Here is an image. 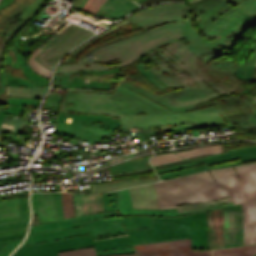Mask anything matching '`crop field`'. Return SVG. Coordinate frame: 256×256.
I'll return each instance as SVG.
<instances>
[{"mask_svg": "<svg viewBox=\"0 0 256 256\" xmlns=\"http://www.w3.org/2000/svg\"><path fill=\"white\" fill-rule=\"evenodd\" d=\"M2 142H4V138H3V136L0 133V143H2Z\"/></svg>", "mask_w": 256, "mask_h": 256, "instance_id": "66", "label": "crop field"}, {"mask_svg": "<svg viewBox=\"0 0 256 256\" xmlns=\"http://www.w3.org/2000/svg\"><path fill=\"white\" fill-rule=\"evenodd\" d=\"M256 256V255H255Z\"/></svg>", "mask_w": 256, "mask_h": 256, "instance_id": "69", "label": "crop field"}, {"mask_svg": "<svg viewBox=\"0 0 256 256\" xmlns=\"http://www.w3.org/2000/svg\"><path fill=\"white\" fill-rule=\"evenodd\" d=\"M14 0H2L0 2V11L10 6Z\"/></svg>", "mask_w": 256, "mask_h": 256, "instance_id": "57", "label": "crop field"}, {"mask_svg": "<svg viewBox=\"0 0 256 256\" xmlns=\"http://www.w3.org/2000/svg\"><path fill=\"white\" fill-rule=\"evenodd\" d=\"M137 3L141 2V1H144V0H135Z\"/></svg>", "mask_w": 256, "mask_h": 256, "instance_id": "67", "label": "crop field"}, {"mask_svg": "<svg viewBox=\"0 0 256 256\" xmlns=\"http://www.w3.org/2000/svg\"><path fill=\"white\" fill-rule=\"evenodd\" d=\"M65 219L75 216L72 193H62Z\"/></svg>", "mask_w": 256, "mask_h": 256, "instance_id": "38", "label": "crop field"}, {"mask_svg": "<svg viewBox=\"0 0 256 256\" xmlns=\"http://www.w3.org/2000/svg\"><path fill=\"white\" fill-rule=\"evenodd\" d=\"M56 133L96 143L111 131L87 128L58 122Z\"/></svg>", "mask_w": 256, "mask_h": 256, "instance_id": "16", "label": "crop field"}, {"mask_svg": "<svg viewBox=\"0 0 256 256\" xmlns=\"http://www.w3.org/2000/svg\"><path fill=\"white\" fill-rule=\"evenodd\" d=\"M185 26H180L187 47L198 57L208 63L229 52L218 46L233 49L240 35L256 23V0H198L190 3L194 20L204 38L194 27L185 4Z\"/></svg>", "mask_w": 256, "mask_h": 256, "instance_id": "4", "label": "crop field"}, {"mask_svg": "<svg viewBox=\"0 0 256 256\" xmlns=\"http://www.w3.org/2000/svg\"><path fill=\"white\" fill-rule=\"evenodd\" d=\"M104 2L105 0H95V2L90 6V8L87 11L96 14V12L99 10V8L102 6Z\"/></svg>", "mask_w": 256, "mask_h": 256, "instance_id": "53", "label": "crop field"}, {"mask_svg": "<svg viewBox=\"0 0 256 256\" xmlns=\"http://www.w3.org/2000/svg\"><path fill=\"white\" fill-rule=\"evenodd\" d=\"M232 200L230 197L221 199V200H216V201H211L207 203H197V204H189V205H181V206H176L178 213L180 212H185V211H190V210H195V209H200V208H205V207H211L215 205H221V204H227L231 203Z\"/></svg>", "mask_w": 256, "mask_h": 256, "instance_id": "33", "label": "crop field"}, {"mask_svg": "<svg viewBox=\"0 0 256 256\" xmlns=\"http://www.w3.org/2000/svg\"><path fill=\"white\" fill-rule=\"evenodd\" d=\"M188 162H193V161L184 160V161L172 162V163H167V164L155 165L153 167H154V169H161V168L184 164V163H188Z\"/></svg>", "mask_w": 256, "mask_h": 256, "instance_id": "54", "label": "crop field"}, {"mask_svg": "<svg viewBox=\"0 0 256 256\" xmlns=\"http://www.w3.org/2000/svg\"><path fill=\"white\" fill-rule=\"evenodd\" d=\"M22 240L23 238L0 242V245L9 244L8 246L0 250V256H9L10 253L22 242Z\"/></svg>", "mask_w": 256, "mask_h": 256, "instance_id": "44", "label": "crop field"}, {"mask_svg": "<svg viewBox=\"0 0 256 256\" xmlns=\"http://www.w3.org/2000/svg\"><path fill=\"white\" fill-rule=\"evenodd\" d=\"M6 85L9 86H24V87H36L32 82H30L26 78H21L12 73H5L1 76V87H0V94H3Z\"/></svg>", "mask_w": 256, "mask_h": 256, "instance_id": "27", "label": "crop field"}, {"mask_svg": "<svg viewBox=\"0 0 256 256\" xmlns=\"http://www.w3.org/2000/svg\"><path fill=\"white\" fill-rule=\"evenodd\" d=\"M192 249H208L206 212L193 215Z\"/></svg>", "mask_w": 256, "mask_h": 256, "instance_id": "21", "label": "crop field"}, {"mask_svg": "<svg viewBox=\"0 0 256 256\" xmlns=\"http://www.w3.org/2000/svg\"><path fill=\"white\" fill-rule=\"evenodd\" d=\"M76 92H98V93H114L115 91H101V90H69Z\"/></svg>", "mask_w": 256, "mask_h": 256, "instance_id": "59", "label": "crop field"}, {"mask_svg": "<svg viewBox=\"0 0 256 256\" xmlns=\"http://www.w3.org/2000/svg\"><path fill=\"white\" fill-rule=\"evenodd\" d=\"M0 200H2V198H0ZM20 209H21V213H22V218H16V219H10V220H2V221H0V225L29 221V218H26L25 214H24L22 199L20 200Z\"/></svg>", "mask_w": 256, "mask_h": 256, "instance_id": "49", "label": "crop field"}, {"mask_svg": "<svg viewBox=\"0 0 256 256\" xmlns=\"http://www.w3.org/2000/svg\"><path fill=\"white\" fill-rule=\"evenodd\" d=\"M25 234L22 235H15V236H8V237H0V241L2 240H9V239H16V238H22ZM6 245L0 246V249L3 248Z\"/></svg>", "mask_w": 256, "mask_h": 256, "instance_id": "58", "label": "crop field"}, {"mask_svg": "<svg viewBox=\"0 0 256 256\" xmlns=\"http://www.w3.org/2000/svg\"><path fill=\"white\" fill-rule=\"evenodd\" d=\"M118 196V206H119V213L121 217L126 216H136V215H152V216H164V217H177L183 215L194 214L200 211H208L210 209L227 207L234 205L233 203L221 206H215L211 208H205L185 213L177 214L176 209H168V210H141V209H133L129 190H122L117 192Z\"/></svg>", "mask_w": 256, "mask_h": 256, "instance_id": "9", "label": "crop field"}, {"mask_svg": "<svg viewBox=\"0 0 256 256\" xmlns=\"http://www.w3.org/2000/svg\"><path fill=\"white\" fill-rule=\"evenodd\" d=\"M209 248L224 246V208L207 212Z\"/></svg>", "mask_w": 256, "mask_h": 256, "instance_id": "14", "label": "crop field"}, {"mask_svg": "<svg viewBox=\"0 0 256 256\" xmlns=\"http://www.w3.org/2000/svg\"><path fill=\"white\" fill-rule=\"evenodd\" d=\"M84 224H82V225H77V226H72V227H79V226H83ZM67 228H70V227H67ZM62 229H64V228H62ZM56 230H59V229H56ZM48 231H53V230H48ZM42 232H47V231H40V232H32V233H29L28 235H30V234H36V233H42Z\"/></svg>", "mask_w": 256, "mask_h": 256, "instance_id": "61", "label": "crop field"}, {"mask_svg": "<svg viewBox=\"0 0 256 256\" xmlns=\"http://www.w3.org/2000/svg\"><path fill=\"white\" fill-rule=\"evenodd\" d=\"M167 1H185V0H146L144 2L139 3L142 6H146L148 4H154V3H161V2H167Z\"/></svg>", "mask_w": 256, "mask_h": 256, "instance_id": "55", "label": "crop field"}, {"mask_svg": "<svg viewBox=\"0 0 256 256\" xmlns=\"http://www.w3.org/2000/svg\"><path fill=\"white\" fill-rule=\"evenodd\" d=\"M76 216L104 212L102 194H74Z\"/></svg>", "mask_w": 256, "mask_h": 256, "instance_id": "17", "label": "crop field"}, {"mask_svg": "<svg viewBox=\"0 0 256 256\" xmlns=\"http://www.w3.org/2000/svg\"><path fill=\"white\" fill-rule=\"evenodd\" d=\"M243 245L241 205L225 208V246Z\"/></svg>", "mask_w": 256, "mask_h": 256, "instance_id": "11", "label": "crop field"}, {"mask_svg": "<svg viewBox=\"0 0 256 256\" xmlns=\"http://www.w3.org/2000/svg\"><path fill=\"white\" fill-rule=\"evenodd\" d=\"M114 115H94V114H62L58 121L66 122L67 118H73L72 124L115 131L120 128V119H112Z\"/></svg>", "mask_w": 256, "mask_h": 256, "instance_id": "12", "label": "crop field"}, {"mask_svg": "<svg viewBox=\"0 0 256 256\" xmlns=\"http://www.w3.org/2000/svg\"><path fill=\"white\" fill-rule=\"evenodd\" d=\"M53 198H54L55 206L58 212L59 220L64 219L61 193H54Z\"/></svg>", "mask_w": 256, "mask_h": 256, "instance_id": "48", "label": "crop field"}, {"mask_svg": "<svg viewBox=\"0 0 256 256\" xmlns=\"http://www.w3.org/2000/svg\"><path fill=\"white\" fill-rule=\"evenodd\" d=\"M43 0H36L34 3L29 5L23 13L20 15V18H27L28 15L42 2Z\"/></svg>", "mask_w": 256, "mask_h": 256, "instance_id": "52", "label": "crop field"}, {"mask_svg": "<svg viewBox=\"0 0 256 256\" xmlns=\"http://www.w3.org/2000/svg\"><path fill=\"white\" fill-rule=\"evenodd\" d=\"M28 223L29 222L19 223V224H12V225H3V226H0V229H9V228H14V227L27 226Z\"/></svg>", "mask_w": 256, "mask_h": 256, "instance_id": "56", "label": "crop field"}, {"mask_svg": "<svg viewBox=\"0 0 256 256\" xmlns=\"http://www.w3.org/2000/svg\"><path fill=\"white\" fill-rule=\"evenodd\" d=\"M236 64L239 66L236 71L237 77L251 81L256 69V36L247 44Z\"/></svg>", "mask_w": 256, "mask_h": 256, "instance_id": "18", "label": "crop field"}, {"mask_svg": "<svg viewBox=\"0 0 256 256\" xmlns=\"http://www.w3.org/2000/svg\"><path fill=\"white\" fill-rule=\"evenodd\" d=\"M26 229L27 227H20V228L9 229V230H0V236L26 233Z\"/></svg>", "mask_w": 256, "mask_h": 256, "instance_id": "51", "label": "crop field"}, {"mask_svg": "<svg viewBox=\"0 0 256 256\" xmlns=\"http://www.w3.org/2000/svg\"><path fill=\"white\" fill-rule=\"evenodd\" d=\"M135 253L133 247L97 252V256Z\"/></svg>", "mask_w": 256, "mask_h": 256, "instance_id": "46", "label": "crop field"}, {"mask_svg": "<svg viewBox=\"0 0 256 256\" xmlns=\"http://www.w3.org/2000/svg\"><path fill=\"white\" fill-rule=\"evenodd\" d=\"M139 256H212L210 250H191V240L160 242L135 246Z\"/></svg>", "mask_w": 256, "mask_h": 256, "instance_id": "8", "label": "crop field"}, {"mask_svg": "<svg viewBox=\"0 0 256 256\" xmlns=\"http://www.w3.org/2000/svg\"><path fill=\"white\" fill-rule=\"evenodd\" d=\"M160 209L231 196L243 207L244 245L256 244V164L229 167L154 184Z\"/></svg>", "mask_w": 256, "mask_h": 256, "instance_id": "3", "label": "crop field"}, {"mask_svg": "<svg viewBox=\"0 0 256 256\" xmlns=\"http://www.w3.org/2000/svg\"><path fill=\"white\" fill-rule=\"evenodd\" d=\"M43 51V49L41 48H36L35 51L33 52L30 60H29V65H31V68L36 71L38 74L42 75V76H45L47 78L50 79L51 77V73L52 71H50L49 69H47L44 65H42L41 63H39L37 61V56L38 54Z\"/></svg>", "mask_w": 256, "mask_h": 256, "instance_id": "34", "label": "crop field"}, {"mask_svg": "<svg viewBox=\"0 0 256 256\" xmlns=\"http://www.w3.org/2000/svg\"><path fill=\"white\" fill-rule=\"evenodd\" d=\"M206 157H207V159L201 160L199 162H203V163H206L207 165H211V164L220 163V162L233 160V159H237V158H240V160H241V162H238V163H232V164H227V165H222V166L211 167L209 169L237 165V164H241L242 162L256 160V146L240 148V149H235V150H229L227 153L217 154V155H208Z\"/></svg>", "mask_w": 256, "mask_h": 256, "instance_id": "15", "label": "crop field"}, {"mask_svg": "<svg viewBox=\"0 0 256 256\" xmlns=\"http://www.w3.org/2000/svg\"><path fill=\"white\" fill-rule=\"evenodd\" d=\"M66 91L52 88L42 109L60 107L59 112L62 113L115 114L121 118V128L166 125L194 120L198 125L161 131L222 124H228L230 128H234V125L218 104L187 113L167 114L119 88L115 90L114 94Z\"/></svg>", "mask_w": 256, "mask_h": 256, "instance_id": "2", "label": "crop field"}, {"mask_svg": "<svg viewBox=\"0 0 256 256\" xmlns=\"http://www.w3.org/2000/svg\"><path fill=\"white\" fill-rule=\"evenodd\" d=\"M130 22L126 21L125 19L120 21L119 23L115 24L114 26H112L111 28H109L108 30H106L105 32H103L102 34L96 36L95 38L89 40L88 42L82 44L81 46H79L77 49H75L73 52H71L61 63H65V62H69L71 60V58L77 54L79 51H81L84 47H86L88 44H90L91 42H93L94 40H96L97 38L115 30L118 29L126 24H128Z\"/></svg>", "mask_w": 256, "mask_h": 256, "instance_id": "35", "label": "crop field"}, {"mask_svg": "<svg viewBox=\"0 0 256 256\" xmlns=\"http://www.w3.org/2000/svg\"><path fill=\"white\" fill-rule=\"evenodd\" d=\"M205 169H207V168L205 165H203L200 167H195V168L180 170V171H176V172L161 174L159 176H160L161 180H163V179H167V178H171V177H175V176H181V175H185V174H189V173H193V172H197V171H201V170H205Z\"/></svg>", "mask_w": 256, "mask_h": 256, "instance_id": "42", "label": "crop field"}, {"mask_svg": "<svg viewBox=\"0 0 256 256\" xmlns=\"http://www.w3.org/2000/svg\"><path fill=\"white\" fill-rule=\"evenodd\" d=\"M126 19L148 32L105 47L99 46L89 53L98 57L94 61L59 65L53 86L67 88L71 75L78 73V70L101 71L122 67L148 54L158 64L151 71L179 91L157 96L128 79H124L119 88L167 113L187 112L219 103L232 123L241 125V130L256 127V115L245 103L243 96L222 98L198 106L222 93L234 92L241 83L233 77L237 69L235 60H213L207 65L178 41L184 38L178 26L184 25L185 19L181 4L149 7Z\"/></svg>", "mask_w": 256, "mask_h": 256, "instance_id": "1", "label": "crop field"}, {"mask_svg": "<svg viewBox=\"0 0 256 256\" xmlns=\"http://www.w3.org/2000/svg\"><path fill=\"white\" fill-rule=\"evenodd\" d=\"M48 86L42 88L7 87V96L43 99Z\"/></svg>", "mask_w": 256, "mask_h": 256, "instance_id": "25", "label": "crop field"}, {"mask_svg": "<svg viewBox=\"0 0 256 256\" xmlns=\"http://www.w3.org/2000/svg\"><path fill=\"white\" fill-rule=\"evenodd\" d=\"M129 190L134 208L159 209L157 195L153 184L131 188Z\"/></svg>", "mask_w": 256, "mask_h": 256, "instance_id": "19", "label": "crop field"}, {"mask_svg": "<svg viewBox=\"0 0 256 256\" xmlns=\"http://www.w3.org/2000/svg\"><path fill=\"white\" fill-rule=\"evenodd\" d=\"M95 246L96 251L131 246L125 232L97 236L90 235L20 247L13 256H58L57 252Z\"/></svg>", "mask_w": 256, "mask_h": 256, "instance_id": "5", "label": "crop field"}, {"mask_svg": "<svg viewBox=\"0 0 256 256\" xmlns=\"http://www.w3.org/2000/svg\"><path fill=\"white\" fill-rule=\"evenodd\" d=\"M254 254H256V245L214 250V256H253Z\"/></svg>", "mask_w": 256, "mask_h": 256, "instance_id": "29", "label": "crop field"}, {"mask_svg": "<svg viewBox=\"0 0 256 256\" xmlns=\"http://www.w3.org/2000/svg\"><path fill=\"white\" fill-rule=\"evenodd\" d=\"M191 224L192 215L177 218L154 217V228L130 230L126 234L132 245L191 239Z\"/></svg>", "mask_w": 256, "mask_h": 256, "instance_id": "6", "label": "crop field"}, {"mask_svg": "<svg viewBox=\"0 0 256 256\" xmlns=\"http://www.w3.org/2000/svg\"><path fill=\"white\" fill-rule=\"evenodd\" d=\"M94 35L93 32L87 29L73 25L49 44L47 48L39 54L37 59L47 68L53 70L56 63L66 53Z\"/></svg>", "mask_w": 256, "mask_h": 256, "instance_id": "7", "label": "crop field"}, {"mask_svg": "<svg viewBox=\"0 0 256 256\" xmlns=\"http://www.w3.org/2000/svg\"><path fill=\"white\" fill-rule=\"evenodd\" d=\"M105 211H116L117 206V196L116 192H110L103 194Z\"/></svg>", "mask_w": 256, "mask_h": 256, "instance_id": "40", "label": "crop field"}, {"mask_svg": "<svg viewBox=\"0 0 256 256\" xmlns=\"http://www.w3.org/2000/svg\"><path fill=\"white\" fill-rule=\"evenodd\" d=\"M5 123L8 124H14L15 128L14 129H7V128H1L0 132H6V133H13L19 135L20 129L24 127L28 122H35V121H28V120H22V119H10L6 118Z\"/></svg>", "mask_w": 256, "mask_h": 256, "instance_id": "39", "label": "crop field"}, {"mask_svg": "<svg viewBox=\"0 0 256 256\" xmlns=\"http://www.w3.org/2000/svg\"><path fill=\"white\" fill-rule=\"evenodd\" d=\"M139 8L141 7L130 0H106L97 15L119 19Z\"/></svg>", "mask_w": 256, "mask_h": 256, "instance_id": "20", "label": "crop field"}, {"mask_svg": "<svg viewBox=\"0 0 256 256\" xmlns=\"http://www.w3.org/2000/svg\"><path fill=\"white\" fill-rule=\"evenodd\" d=\"M12 51L16 56L15 63L12 65V55H8L6 64L13 68L20 69L27 62L23 59V57L14 48H12ZM19 65H21V67H19Z\"/></svg>", "mask_w": 256, "mask_h": 256, "instance_id": "45", "label": "crop field"}, {"mask_svg": "<svg viewBox=\"0 0 256 256\" xmlns=\"http://www.w3.org/2000/svg\"><path fill=\"white\" fill-rule=\"evenodd\" d=\"M20 75L28 78L30 81H32L37 87H41L44 85L49 84V79H46L37 73H34V71L30 68L28 63L22 67L21 71L19 72Z\"/></svg>", "mask_w": 256, "mask_h": 256, "instance_id": "32", "label": "crop field"}, {"mask_svg": "<svg viewBox=\"0 0 256 256\" xmlns=\"http://www.w3.org/2000/svg\"><path fill=\"white\" fill-rule=\"evenodd\" d=\"M21 217L19 200L0 201V220Z\"/></svg>", "mask_w": 256, "mask_h": 256, "instance_id": "28", "label": "crop field"}, {"mask_svg": "<svg viewBox=\"0 0 256 256\" xmlns=\"http://www.w3.org/2000/svg\"><path fill=\"white\" fill-rule=\"evenodd\" d=\"M83 0H76V2L73 4V6L78 7L80 6V4L82 3Z\"/></svg>", "mask_w": 256, "mask_h": 256, "instance_id": "62", "label": "crop field"}, {"mask_svg": "<svg viewBox=\"0 0 256 256\" xmlns=\"http://www.w3.org/2000/svg\"><path fill=\"white\" fill-rule=\"evenodd\" d=\"M42 100L36 99H22V98H9L8 104L26 107L27 104L40 106Z\"/></svg>", "mask_w": 256, "mask_h": 256, "instance_id": "43", "label": "crop field"}, {"mask_svg": "<svg viewBox=\"0 0 256 256\" xmlns=\"http://www.w3.org/2000/svg\"><path fill=\"white\" fill-rule=\"evenodd\" d=\"M59 228L57 222H51L43 225L31 226L30 232L32 231H40V230H48V229H56Z\"/></svg>", "mask_w": 256, "mask_h": 256, "instance_id": "50", "label": "crop field"}, {"mask_svg": "<svg viewBox=\"0 0 256 256\" xmlns=\"http://www.w3.org/2000/svg\"><path fill=\"white\" fill-rule=\"evenodd\" d=\"M222 152L223 151H222V144H221L217 146L202 147V148H197L190 151L179 152L177 154L188 159L191 157L203 156L207 154H217Z\"/></svg>", "mask_w": 256, "mask_h": 256, "instance_id": "31", "label": "crop field"}, {"mask_svg": "<svg viewBox=\"0 0 256 256\" xmlns=\"http://www.w3.org/2000/svg\"><path fill=\"white\" fill-rule=\"evenodd\" d=\"M178 160H184V159L176 156L173 153H170V154L154 156L150 159V162L152 163V165H155V164L167 163V162L178 161Z\"/></svg>", "mask_w": 256, "mask_h": 256, "instance_id": "41", "label": "crop field"}, {"mask_svg": "<svg viewBox=\"0 0 256 256\" xmlns=\"http://www.w3.org/2000/svg\"><path fill=\"white\" fill-rule=\"evenodd\" d=\"M88 0H84L82 5L80 6V9H83V7L85 6V4L87 3Z\"/></svg>", "mask_w": 256, "mask_h": 256, "instance_id": "65", "label": "crop field"}, {"mask_svg": "<svg viewBox=\"0 0 256 256\" xmlns=\"http://www.w3.org/2000/svg\"><path fill=\"white\" fill-rule=\"evenodd\" d=\"M159 181V178L149 179V180H127L121 181L116 183H109V184H90L91 186V193L95 192H108L112 190L128 188L138 185H143L151 182Z\"/></svg>", "mask_w": 256, "mask_h": 256, "instance_id": "24", "label": "crop field"}, {"mask_svg": "<svg viewBox=\"0 0 256 256\" xmlns=\"http://www.w3.org/2000/svg\"><path fill=\"white\" fill-rule=\"evenodd\" d=\"M53 193L32 194L33 215H37L40 223L58 220L54 206Z\"/></svg>", "mask_w": 256, "mask_h": 256, "instance_id": "13", "label": "crop field"}, {"mask_svg": "<svg viewBox=\"0 0 256 256\" xmlns=\"http://www.w3.org/2000/svg\"><path fill=\"white\" fill-rule=\"evenodd\" d=\"M23 108L8 105V110L0 109V128L3 124V120L6 117V113L19 114Z\"/></svg>", "mask_w": 256, "mask_h": 256, "instance_id": "47", "label": "crop field"}, {"mask_svg": "<svg viewBox=\"0 0 256 256\" xmlns=\"http://www.w3.org/2000/svg\"><path fill=\"white\" fill-rule=\"evenodd\" d=\"M138 70H140L144 76L154 85L161 89H165L167 86L163 81H161L156 75H154L150 70H144L146 66L144 64H139L136 66Z\"/></svg>", "mask_w": 256, "mask_h": 256, "instance_id": "36", "label": "crop field"}, {"mask_svg": "<svg viewBox=\"0 0 256 256\" xmlns=\"http://www.w3.org/2000/svg\"><path fill=\"white\" fill-rule=\"evenodd\" d=\"M23 203H24L25 214L27 217H30L28 199L23 200Z\"/></svg>", "mask_w": 256, "mask_h": 256, "instance_id": "60", "label": "crop field"}, {"mask_svg": "<svg viewBox=\"0 0 256 256\" xmlns=\"http://www.w3.org/2000/svg\"><path fill=\"white\" fill-rule=\"evenodd\" d=\"M205 158H206V157L203 156V157L191 158V160L197 161V160H201V159H205Z\"/></svg>", "mask_w": 256, "mask_h": 256, "instance_id": "64", "label": "crop field"}, {"mask_svg": "<svg viewBox=\"0 0 256 256\" xmlns=\"http://www.w3.org/2000/svg\"><path fill=\"white\" fill-rule=\"evenodd\" d=\"M85 224L91 237L125 231L120 217L99 219Z\"/></svg>", "mask_w": 256, "mask_h": 256, "instance_id": "22", "label": "crop field"}, {"mask_svg": "<svg viewBox=\"0 0 256 256\" xmlns=\"http://www.w3.org/2000/svg\"><path fill=\"white\" fill-rule=\"evenodd\" d=\"M119 216L118 211L116 212H104V213H96L92 215H87V216H81V217H75L67 220H61L57 221L59 224V227H67V226H72V225H77V224H82L87 221H93L99 218H108V217H116Z\"/></svg>", "mask_w": 256, "mask_h": 256, "instance_id": "26", "label": "crop field"}, {"mask_svg": "<svg viewBox=\"0 0 256 256\" xmlns=\"http://www.w3.org/2000/svg\"><path fill=\"white\" fill-rule=\"evenodd\" d=\"M85 234H89L85 226L79 227V228H71V229L47 232V233L28 236L22 245L40 243L44 241L57 240V239L85 235Z\"/></svg>", "mask_w": 256, "mask_h": 256, "instance_id": "23", "label": "crop field"}, {"mask_svg": "<svg viewBox=\"0 0 256 256\" xmlns=\"http://www.w3.org/2000/svg\"><path fill=\"white\" fill-rule=\"evenodd\" d=\"M52 154L54 155V158L58 157L54 152H52ZM54 158H52V159H54ZM49 160H51V159H49ZM45 161H48V160H45ZM45 161H41V163L45 162ZM34 162H40V161L34 160Z\"/></svg>", "mask_w": 256, "mask_h": 256, "instance_id": "63", "label": "crop field"}, {"mask_svg": "<svg viewBox=\"0 0 256 256\" xmlns=\"http://www.w3.org/2000/svg\"><path fill=\"white\" fill-rule=\"evenodd\" d=\"M79 73L80 76H77V74L72 76L68 88H97L109 90L112 77H119L120 75V67L101 72L79 71Z\"/></svg>", "mask_w": 256, "mask_h": 256, "instance_id": "10", "label": "crop field"}, {"mask_svg": "<svg viewBox=\"0 0 256 256\" xmlns=\"http://www.w3.org/2000/svg\"><path fill=\"white\" fill-rule=\"evenodd\" d=\"M254 100H255V102H256V96H254V97H252Z\"/></svg>", "mask_w": 256, "mask_h": 256, "instance_id": "68", "label": "crop field"}, {"mask_svg": "<svg viewBox=\"0 0 256 256\" xmlns=\"http://www.w3.org/2000/svg\"><path fill=\"white\" fill-rule=\"evenodd\" d=\"M58 254L59 256H96L94 247L61 252ZM116 256H136V254L116 255Z\"/></svg>", "mask_w": 256, "mask_h": 256, "instance_id": "37", "label": "crop field"}, {"mask_svg": "<svg viewBox=\"0 0 256 256\" xmlns=\"http://www.w3.org/2000/svg\"><path fill=\"white\" fill-rule=\"evenodd\" d=\"M126 230L151 228L153 227V218L151 216H136L122 218Z\"/></svg>", "mask_w": 256, "mask_h": 256, "instance_id": "30", "label": "crop field"}]
</instances>
